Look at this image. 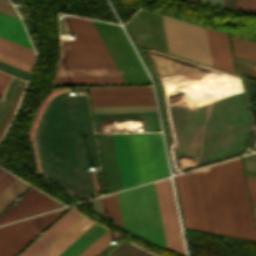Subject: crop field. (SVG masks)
I'll return each instance as SVG.
<instances>
[{
  "label": "crop field",
  "mask_w": 256,
  "mask_h": 256,
  "mask_svg": "<svg viewBox=\"0 0 256 256\" xmlns=\"http://www.w3.org/2000/svg\"><path fill=\"white\" fill-rule=\"evenodd\" d=\"M22 84H23V80H20L18 78L13 77V79H12V81H11V83H10L6 93H5V96H7V98L4 102V104L0 103V131L3 128V126L5 125L7 119L9 118V116L12 112L13 106L15 104V101H16L17 97H18V94H19V91L21 89ZM25 84H26V82H24V84L22 86L21 92H20L19 97L17 99V102L14 106V110L17 106V103H18L20 97H21L22 90H23ZM14 110H13V112H14ZM10 119H11V117L8 119L6 125L2 129V131L0 133V136L2 135L4 130L6 129Z\"/></svg>",
  "instance_id": "16"
},
{
  "label": "crop field",
  "mask_w": 256,
  "mask_h": 256,
  "mask_svg": "<svg viewBox=\"0 0 256 256\" xmlns=\"http://www.w3.org/2000/svg\"><path fill=\"white\" fill-rule=\"evenodd\" d=\"M128 136L138 185L167 176L161 134L137 133Z\"/></svg>",
  "instance_id": "5"
},
{
  "label": "crop field",
  "mask_w": 256,
  "mask_h": 256,
  "mask_svg": "<svg viewBox=\"0 0 256 256\" xmlns=\"http://www.w3.org/2000/svg\"><path fill=\"white\" fill-rule=\"evenodd\" d=\"M231 38L236 57L256 62V43L232 36Z\"/></svg>",
  "instance_id": "19"
},
{
  "label": "crop field",
  "mask_w": 256,
  "mask_h": 256,
  "mask_svg": "<svg viewBox=\"0 0 256 256\" xmlns=\"http://www.w3.org/2000/svg\"><path fill=\"white\" fill-rule=\"evenodd\" d=\"M18 179L0 193V210L29 187V185L23 183L24 181Z\"/></svg>",
  "instance_id": "21"
},
{
  "label": "crop field",
  "mask_w": 256,
  "mask_h": 256,
  "mask_svg": "<svg viewBox=\"0 0 256 256\" xmlns=\"http://www.w3.org/2000/svg\"><path fill=\"white\" fill-rule=\"evenodd\" d=\"M57 210L0 228V256H13L64 210Z\"/></svg>",
  "instance_id": "8"
},
{
  "label": "crop field",
  "mask_w": 256,
  "mask_h": 256,
  "mask_svg": "<svg viewBox=\"0 0 256 256\" xmlns=\"http://www.w3.org/2000/svg\"><path fill=\"white\" fill-rule=\"evenodd\" d=\"M162 17L170 54L212 66L204 28L163 15Z\"/></svg>",
  "instance_id": "6"
},
{
  "label": "crop field",
  "mask_w": 256,
  "mask_h": 256,
  "mask_svg": "<svg viewBox=\"0 0 256 256\" xmlns=\"http://www.w3.org/2000/svg\"><path fill=\"white\" fill-rule=\"evenodd\" d=\"M0 37L32 49L21 22L2 13H0Z\"/></svg>",
  "instance_id": "15"
},
{
  "label": "crop field",
  "mask_w": 256,
  "mask_h": 256,
  "mask_svg": "<svg viewBox=\"0 0 256 256\" xmlns=\"http://www.w3.org/2000/svg\"><path fill=\"white\" fill-rule=\"evenodd\" d=\"M81 216L72 208L19 256H37Z\"/></svg>",
  "instance_id": "11"
},
{
  "label": "crop field",
  "mask_w": 256,
  "mask_h": 256,
  "mask_svg": "<svg viewBox=\"0 0 256 256\" xmlns=\"http://www.w3.org/2000/svg\"><path fill=\"white\" fill-rule=\"evenodd\" d=\"M186 175L198 230L223 235L209 167Z\"/></svg>",
  "instance_id": "7"
},
{
  "label": "crop field",
  "mask_w": 256,
  "mask_h": 256,
  "mask_svg": "<svg viewBox=\"0 0 256 256\" xmlns=\"http://www.w3.org/2000/svg\"><path fill=\"white\" fill-rule=\"evenodd\" d=\"M189 1L197 2V3L199 2V0H189Z\"/></svg>",
  "instance_id": "33"
},
{
  "label": "crop field",
  "mask_w": 256,
  "mask_h": 256,
  "mask_svg": "<svg viewBox=\"0 0 256 256\" xmlns=\"http://www.w3.org/2000/svg\"><path fill=\"white\" fill-rule=\"evenodd\" d=\"M210 169L224 235L256 241L239 158Z\"/></svg>",
  "instance_id": "2"
},
{
  "label": "crop field",
  "mask_w": 256,
  "mask_h": 256,
  "mask_svg": "<svg viewBox=\"0 0 256 256\" xmlns=\"http://www.w3.org/2000/svg\"><path fill=\"white\" fill-rule=\"evenodd\" d=\"M167 248L185 254L170 180L154 183Z\"/></svg>",
  "instance_id": "9"
},
{
  "label": "crop field",
  "mask_w": 256,
  "mask_h": 256,
  "mask_svg": "<svg viewBox=\"0 0 256 256\" xmlns=\"http://www.w3.org/2000/svg\"><path fill=\"white\" fill-rule=\"evenodd\" d=\"M254 210V216H255V222H256V208L253 207Z\"/></svg>",
  "instance_id": "32"
},
{
  "label": "crop field",
  "mask_w": 256,
  "mask_h": 256,
  "mask_svg": "<svg viewBox=\"0 0 256 256\" xmlns=\"http://www.w3.org/2000/svg\"><path fill=\"white\" fill-rule=\"evenodd\" d=\"M234 9L256 14V0H238Z\"/></svg>",
  "instance_id": "24"
},
{
  "label": "crop field",
  "mask_w": 256,
  "mask_h": 256,
  "mask_svg": "<svg viewBox=\"0 0 256 256\" xmlns=\"http://www.w3.org/2000/svg\"><path fill=\"white\" fill-rule=\"evenodd\" d=\"M90 220L85 217H81L77 220L69 229H67L60 237H58L50 246H48L40 255L38 256H50L53 254L60 246H62L68 239H70L77 231H79L85 224ZM93 222H89L85 225L79 232H77L70 240H68L62 247H60L53 255L57 256L61 253L69 244H71L79 235H81Z\"/></svg>",
  "instance_id": "14"
},
{
  "label": "crop field",
  "mask_w": 256,
  "mask_h": 256,
  "mask_svg": "<svg viewBox=\"0 0 256 256\" xmlns=\"http://www.w3.org/2000/svg\"><path fill=\"white\" fill-rule=\"evenodd\" d=\"M117 195L124 228L165 246L153 183L118 192Z\"/></svg>",
  "instance_id": "3"
},
{
  "label": "crop field",
  "mask_w": 256,
  "mask_h": 256,
  "mask_svg": "<svg viewBox=\"0 0 256 256\" xmlns=\"http://www.w3.org/2000/svg\"><path fill=\"white\" fill-rule=\"evenodd\" d=\"M17 178L0 168V192L3 191Z\"/></svg>",
  "instance_id": "25"
},
{
  "label": "crop field",
  "mask_w": 256,
  "mask_h": 256,
  "mask_svg": "<svg viewBox=\"0 0 256 256\" xmlns=\"http://www.w3.org/2000/svg\"><path fill=\"white\" fill-rule=\"evenodd\" d=\"M0 40H2V41H4V42H7V43H9V44H12V45H14V46H17V47H19V48H22V49H24V50H27V51H29V52L34 53V51H32V50H30V49H27V48H25V47H22V46H20V45H17V44H15V43H12V42L7 41V40H5V39L0 38ZM2 41H0V52H1V53L6 54V55H8V56H11V57H13V58L19 59V60H21V61H24V62L29 63V64L32 65V62H33V59H34V56H35L34 54H35V53H34V54L29 53V52H27V51H24V50H22V49H19V48H17V47H14V46H12V45H9V44H7V43H4V42H2Z\"/></svg>",
  "instance_id": "18"
},
{
  "label": "crop field",
  "mask_w": 256,
  "mask_h": 256,
  "mask_svg": "<svg viewBox=\"0 0 256 256\" xmlns=\"http://www.w3.org/2000/svg\"><path fill=\"white\" fill-rule=\"evenodd\" d=\"M250 192L251 204L252 206L256 207V192Z\"/></svg>",
  "instance_id": "29"
},
{
  "label": "crop field",
  "mask_w": 256,
  "mask_h": 256,
  "mask_svg": "<svg viewBox=\"0 0 256 256\" xmlns=\"http://www.w3.org/2000/svg\"><path fill=\"white\" fill-rule=\"evenodd\" d=\"M94 113L157 111L155 106L93 107Z\"/></svg>",
  "instance_id": "23"
},
{
  "label": "crop field",
  "mask_w": 256,
  "mask_h": 256,
  "mask_svg": "<svg viewBox=\"0 0 256 256\" xmlns=\"http://www.w3.org/2000/svg\"><path fill=\"white\" fill-rule=\"evenodd\" d=\"M206 31L213 66L234 72L227 35Z\"/></svg>",
  "instance_id": "13"
},
{
  "label": "crop field",
  "mask_w": 256,
  "mask_h": 256,
  "mask_svg": "<svg viewBox=\"0 0 256 256\" xmlns=\"http://www.w3.org/2000/svg\"><path fill=\"white\" fill-rule=\"evenodd\" d=\"M224 0H213L212 4L213 6H219L221 7Z\"/></svg>",
  "instance_id": "30"
},
{
  "label": "crop field",
  "mask_w": 256,
  "mask_h": 256,
  "mask_svg": "<svg viewBox=\"0 0 256 256\" xmlns=\"http://www.w3.org/2000/svg\"><path fill=\"white\" fill-rule=\"evenodd\" d=\"M0 60H2V61H4V62H7V63H9V64H12V65H14V66H17V67H19V68H22V69H24V70H27V71H31V65H29V64H26V63H24V62H21V61H19V60H16V59H13V58H11V57H8V56H6V55H3V54H1L0 53Z\"/></svg>",
  "instance_id": "26"
},
{
  "label": "crop field",
  "mask_w": 256,
  "mask_h": 256,
  "mask_svg": "<svg viewBox=\"0 0 256 256\" xmlns=\"http://www.w3.org/2000/svg\"><path fill=\"white\" fill-rule=\"evenodd\" d=\"M105 231L106 229L95 223L59 256H77Z\"/></svg>",
  "instance_id": "17"
},
{
  "label": "crop field",
  "mask_w": 256,
  "mask_h": 256,
  "mask_svg": "<svg viewBox=\"0 0 256 256\" xmlns=\"http://www.w3.org/2000/svg\"><path fill=\"white\" fill-rule=\"evenodd\" d=\"M122 187L136 186V178L127 134H112Z\"/></svg>",
  "instance_id": "12"
},
{
  "label": "crop field",
  "mask_w": 256,
  "mask_h": 256,
  "mask_svg": "<svg viewBox=\"0 0 256 256\" xmlns=\"http://www.w3.org/2000/svg\"><path fill=\"white\" fill-rule=\"evenodd\" d=\"M10 75L0 72V95L2 94Z\"/></svg>",
  "instance_id": "27"
},
{
  "label": "crop field",
  "mask_w": 256,
  "mask_h": 256,
  "mask_svg": "<svg viewBox=\"0 0 256 256\" xmlns=\"http://www.w3.org/2000/svg\"><path fill=\"white\" fill-rule=\"evenodd\" d=\"M246 178H247L249 189L256 190V178L248 177V176H246Z\"/></svg>",
  "instance_id": "28"
},
{
  "label": "crop field",
  "mask_w": 256,
  "mask_h": 256,
  "mask_svg": "<svg viewBox=\"0 0 256 256\" xmlns=\"http://www.w3.org/2000/svg\"><path fill=\"white\" fill-rule=\"evenodd\" d=\"M92 22L124 83L150 82L122 28L96 20Z\"/></svg>",
  "instance_id": "4"
},
{
  "label": "crop field",
  "mask_w": 256,
  "mask_h": 256,
  "mask_svg": "<svg viewBox=\"0 0 256 256\" xmlns=\"http://www.w3.org/2000/svg\"><path fill=\"white\" fill-rule=\"evenodd\" d=\"M65 17L77 40H61L54 85L123 83L91 20Z\"/></svg>",
  "instance_id": "1"
},
{
  "label": "crop field",
  "mask_w": 256,
  "mask_h": 256,
  "mask_svg": "<svg viewBox=\"0 0 256 256\" xmlns=\"http://www.w3.org/2000/svg\"><path fill=\"white\" fill-rule=\"evenodd\" d=\"M211 2H212V0H200V2H199V3H202V4H208V5H210V4H211Z\"/></svg>",
  "instance_id": "31"
},
{
  "label": "crop field",
  "mask_w": 256,
  "mask_h": 256,
  "mask_svg": "<svg viewBox=\"0 0 256 256\" xmlns=\"http://www.w3.org/2000/svg\"><path fill=\"white\" fill-rule=\"evenodd\" d=\"M100 199L105 215H107L108 217L112 218L113 220L122 225L116 193L105 197H101Z\"/></svg>",
  "instance_id": "22"
},
{
  "label": "crop field",
  "mask_w": 256,
  "mask_h": 256,
  "mask_svg": "<svg viewBox=\"0 0 256 256\" xmlns=\"http://www.w3.org/2000/svg\"><path fill=\"white\" fill-rule=\"evenodd\" d=\"M63 206L35 188H31L0 215V224Z\"/></svg>",
  "instance_id": "10"
},
{
  "label": "crop field",
  "mask_w": 256,
  "mask_h": 256,
  "mask_svg": "<svg viewBox=\"0 0 256 256\" xmlns=\"http://www.w3.org/2000/svg\"><path fill=\"white\" fill-rule=\"evenodd\" d=\"M117 237L118 235L107 230L78 256H97L105 247L111 243L112 240Z\"/></svg>",
  "instance_id": "20"
}]
</instances>
